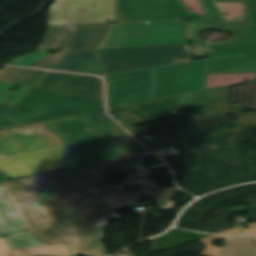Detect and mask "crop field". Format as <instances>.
<instances>
[{
	"mask_svg": "<svg viewBox=\"0 0 256 256\" xmlns=\"http://www.w3.org/2000/svg\"><path fill=\"white\" fill-rule=\"evenodd\" d=\"M125 129L128 130L136 139H141L142 138L140 136V134L137 133L130 125L125 126Z\"/></svg>",
	"mask_w": 256,
	"mask_h": 256,
	"instance_id": "32",
	"label": "crop field"
},
{
	"mask_svg": "<svg viewBox=\"0 0 256 256\" xmlns=\"http://www.w3.org/2000/svg\"><path fill=\"white\" fill-rule=\"evenodd\" d=\"M152 152L158 156L179 155V153H177L172 147L159 149V150H153Z\"/></svg>",
	"mask_w": 256,
	"mask_h": 256,
	"instance_id": "29",
	"label": "crop field"
},
{
	"mask_svg": "<svg viewBox=\"0 0 256 256\" xmlns=\"http://www.w3.org/2000/svg\"><path fill=\"white\" fill-rule=\"evenodd\" d=\"M103 75L192 61L188 44L100 50Z\"/></svg>",
	"mask_w": 256,
	"mask_h": 256,
	"instance_id": "6",
	"label": "crop field"
},
{
	"mask_svg": "<svg viewBox=\"0 0 256 256\" xmlns=\"http://www.w3.org/2000/svg\"><path fill=\"white\" fill-rule=\"evenodd\" d=\"M217 234H234V235H242L240 230H239V227L238 228H234V229H230V230H227V231H223V232H219Z\"/></svg>",
	"mask_w": 256,
	"mask_h": 256,
	"instance_id": "31",
	"label": "crop field"
},
{
	"mask_svg": "<svg viewBox=\"0 0 256 256\" xmlns=\"http://www.w3.org/2000/svg\"><path fill=\"white\" fill-rule=\"evenodd\" d=\"M48 55V52L45 51H39L38 53H35L33 55L25 56V57H20L16 61L10 63L12 65H19V66H26L30 67L32 66L35 62L39 61L41 58L45 57Z\"/></svg>",
	"mask_w": 256,
	"mask_h": 256,
	"instance_id": "28",
	"label": "crop field"
},
{
	"mask_svg": "<svg viewBox=\"0 0 256 256\" xmlns=\"http://www.w3.org/2000/svg\"><path fill=\"white\" fill-rule=\"evenodd\" d=\"M175 114L173 115L172 118H174ZM172 118H170L169 120H171ZM164 123H160V137H157L156 140L149 142L148 139H144V140H140L141 143H143L149 150H153V149H159L162 146H165L164 143L167 142V139H169V136L166 134V130L168 128V121Z\"/></svg>",
	"mask_w": 256,
	"mask_h": 256,
	"instance_id": "26",
	"label": "crop field"
},
{
	"mask_svg": "<svg viewBox=\"0 0 256 256\" xmlns=\"http://www.w3.org/2000/svg\"><path fill=\"white\" fill-rule=\"evenodd\" d=\"M148 152L122 158L90 163L85 166L49 172L29 177L25 180L38 189L55 198L57 201L75 211L90 223L102 228L109 225L105 220L119 217L113 213L124 206L139 202L140 196L150 195L157 187L155 182L145 179L151 169L136 168L140 175L130 173L122 180V184L113 186L103 180L104 172L116 169L120 172L140 165ZM140 190L127 194L122 192L128 186ZM110 226V225H109Z\"/></svg>",
	"mask_w": 256,
	"mask_h": 256,
	"instance_id": "1",
	"label": "crop field"
},
{
	"mask_svg": "<svg viewBox=\"0 0 256 256\" xmlns=\"http://www.w3.org/2000/svg\"><path fill=\"white\" fill-rule=\"evenodd\" d=\"M32 87L102 102V81L97 77L44 71Z\"/></svg>",
	"mask_w": 256,
	"mask_h": 256,
	"instance_id": "14",
	"label": "crop field"
},
{
	"mask_svg": "<svg viewBox=\"0 0 256 256\" xmlns=\"http://www.w3.org/2000/svg\"><path fill=\"white\" fill-rule=\"evenodd\" d=\"M153 69L106 78L108 109L151 100Z\"/></svg>",
	"mask_w": 256,
	"mask_h": 256,
	"instance_id": "11",
	"label": "crop field"
},
{
	"mask_svg": "<svg viewBox=\"0 0 256 256\" xmlns=\"http://www.w3.org/2000/svg\"><path fill=\"white\" fill-rule=\"evenodd\" d=\"M0 256H72L65 244L46 245L11 251L4 237L0 238Z\"/></svg>",
	"mask_w": 256,
	"mask_h": 256,
	"instance_id": "21",
	"label": "crop field"
},
{
	"mask_svg": "<svg viewBox=\"0 0 256 256\" xmlns=\"http://www.w3.org/2000/svg\"><path fill=\"white\" fill-rule=\"evenodd\" d=\"M83 162L65 145L0 158V171L9 179L79 165Z\"/></svg>",
	"mask_w": 256,
	"mask_h": 256,
	"instance_id": "7",
	"label": "crop field"
},
{
	"mask_svg": "<svg viewBox=\"0 0 256 256\" xmlns=\"http://www.w3.org/2000/svg\"><path fill=\"white\" fill-rule=\"evenodd\" d=\"M244 226H248L246 229H244ZM244 232V235H251L256 236V222L248 225L241 226Z\"/></svg>",
	"mask_w": 256,
	"mask_h": 256,
	"instance_id": "30",
	"label": "crop field"
},
{
	"mask_svg": "<svg viewBox=\"0 0 256 256\" xmlns=\"http://www.w3.org/2000/svg\"><path fill=\"white\" fill-rule=\"evenodd\" d=\"M191 41L190 23L184 20L112 24L99 48L174 44Z\"/></svg>",
	"mask_w": 256,
	"mask_h": 256,
	"instance_id": "5",
	"label": "crop field"
},
{
	"mask_svg": "<svg viewBox=\"0 0 256 256\" xmlns=\"http://www.w3.org/2000/svg\"><path fill=\"white\" fill-rule=\"evenodd\" d=\"M206 17L188 12L192 26V41L198 45L215 46L211 49L206 73L256 71V25L253 4L256 0H238L250 9L236 21H224L215 0H199ZM234 1V0H221ZM210 29L230 32L225 42H209L198 38Z\"/></svg>",
	"mask_w": 256,
	"mask_h": 256,
	"instance_id": "2",
	"label": "crop field"
},
{
	"mask_svg": "<svg viewBox=\"0 0 256 256\" xmlns=\"http://www.w3.org/2000/svg\"><path fill=\"white\" fill-rule=\"evenodd\" d=\"M254 249H255V256H256V239H254Z\"/></svg>",
	"mask_w": 256,
	"mask_h": 256,
	"instance_id": "34",
	"label": "crop field"
},
{
	"mask_svg": "<svg viewBox=\"0 0 256 256\" xmlns=\"http://www.w3.org/2000/svg\"><path fill=\"white\" fill-rule=\"evenodd\" d=\"M212 239H226V236L212 235L210 237L199 239L206 246L200 255L220 256L218 253L222 247L212 246Z\"/></svg>",
	"mask_w": 256,
	"mask_h": 256,
	"instance_id": "27",
	"label": "crop field"
},
{
	"mask_svg": "<svg viewBox=\"0 0 256 256\" xmlns=\"http://www.w3.org/2000/svg\"><path fill=\"white\" fill-rule=\"evenodd\" d=\"M7 178L6 177H4L1 173H0V181H2V180H6Z\"/></svg>",
	"mask_w": 256,
	"mask_h": 256,
	"instance_id": "33",
	"label": "crop field"
},
{
	"mask_svg": "<svg viewBox=\"0 0 256 256\" xmlns=\"http://www.w3.org/2000/svg\"><path fill=\"white\" fill-rule=\"evenodd\" d=\"M1 185L26 228L49 244L66 243L99 229L55 199L36 191L22 178Z\"/></svg>",
	"mask_w": 256,
	"mask_h": 256,
	"instance_id": "3",
	"label": "crop field"
},
{
	"mask_svg": "<svg viewBox=\"0 0 256 256\" xmlns=\"http://www.w3.org/2000/svg\"><path fill=\"white\" fill-rule=\"evenodd\" d=\"M42 72L41 70L4 67L0 71V102L5 103L13 97L8 104L16 105ZM17 83L24 86L12 93L10 97L6 96L10 93L8 91Z\"/></svg>",
	"mask_w": 256,
	"mask_h": 256,
	"instance_id": "18",
	"label": "crop field"
},
{
	"mask_svg": "<svg viewBox=\"0 0 256 256\" xmlns=\"http://www.w3.org/2000/svg\"><path fill=\"white\" fill-rule=\"evenodd\" d=\"M98 137L119 157L146 151L124 130L99 135Z\"/></svg>",
	"mask_w": 256,
	"mask_h": 256,
	"instance_id": "19",
	"label": "crop field"
},
{
	"mask_svg": "<svg viewBox=\"0 0 256 256\" xmlns=\"http://www.w3.org/2000/svg\"><path fill=\"white\" fill-rule=\"evenodd\" d=\"M229 87L211 90L191 95H185L178 97L177 106L179 107H190V106H206L214 109L225 107L231 111L239 121H231L224 117V112H219L218 119H222V122H229L235 124H244L245 127L255 126L256 127V115L254 112L239 113L238 111L231 110L228 103ZM241 114L243 117L239 118Z\"/></svg>",
	"mask_w": 256,
	"mask_h": 256,
	"instance_id": "16",
	"label": "crop field"
},
{
	"mask_svg": "<svg viewBox=\"0 0 256 256\" xmlns=\"http://www.w3.org/2000/svg\"><path fill=\"white\" fill-rule=\"evenodd\" d=\"M62 144L43 123L0 131V156Z\"/></svg>",
	"mask_w": 256,
	"mask_h": 256,
	"instance_id": "15",
	"label": "crop field"
},
{
	"mask_svg": "<svg viewBox=\"0 0 256 256\" xmlns=\"http://www.w3.org/2000/svg\"><path fill=\"white\" fill-rule=\"evenodd\" d=\"M115 22V0H56L49 25Z\"/></svg>",
	"mask_w": 256,
	"mask_h": 256,
	"instance_id": "9",
	"label": "crop field"
},
{
	"mask_svg": "<svg viewBox=\"0 0 256 256\" xmlns=\"http://www.w3.org/2000/svg\"><path fill=\"white\" fill-rule=\"evenodd\" d=\"M87 63L92 65L88 66ZM37 67L101 75L97 50L62 52L47 58Z\"/></svg>",
	"mask_w": 256,
	"mask_h": 256,
	"instance_id": "17",
	"label": "crop field"
},
{
	"mask_svg": "<svg viewBox=\"0 0 256 256\" xmlns=\"http://www.w3.org/2000/svg\"><path fill=\"white\" fill-rule=\"evenodd\" d=\"M223 256H254L253 239L229 236Z\"/></svg>",
	"mask_w": 256,
	"mask_h": 256,
	"instance_id": "23",
	"label": "crop field"
},
{
	"mask_svg": "<svg viewBox=\"0 0 256 256\" xmlns=\"http://www.w3.org/2000/svg\"><path fill=\"white\" fill-rule=\"evenodd\" d=\"M26 229L0 185V232L2 235Z\"/></svg>",
	"mask_w": 256,
	"mask_h": 256,
	"instance_id": "22",
	"label": "crop field"
},
{
	"mask_svg": "<svg viewBox=\"0 0 256 256\" xmlns=\"http://www.w3.org/2000/svg\"><path fill=\"white\" fill-rule=\"evenodd\" d=\"M103 233L104 231L99 229L95 232L68 242L66 245L73 256L82 254L87 256H107L106 251L100 243V239L103 238Z\"/></svg>",
	"mask_w": 256,
	"mask_h": 256,
	"instance_id": "20",
	"label": "crop field"
},
{
	"mask_svg": "<svg viewBox=\"0 0 256 256\" xmlns=\"http://www.w3.org/2000/svg\"><path fill=\"white\" fill-rule=\"evenodd\" d=\"M205 66L206 59L154 68L152 100L201 91Z\"/></svg>",
	"mask_w": 256,
	"mask_h": 256,
	"instance_id": "8",
	"label": "crop field"
},
{
	"mask_svg": "<svg viewBox=\"0 0 256 256\" xmlns=\"http://www.w3.org/2000/svg\"><path fill=\"white\" fill-rule=\"evenodd\" d=\"M181 0H118V22L188 19Z\"/></svg>",
	"mask_w": 256,
	"mask_h": 256,
	"instance_id": "12",
	"label": "crop field"
},
{
	"mask_svg": "<svg viewBox=\"0 0 256 256\" xmlns=\"http://www.w3.org/2000/svg\"><path fill=\"white\" fill-rule=\"evenodd\" d=\"M11 250L46 245L47 243L38 238L30 231H24L12 235L5 236Z\"/></svg>",
	"mask_w": 256,
	"mask_h": 256,
	"instance_id": "24",
	"label": "crop field"
},
{
	"mask_svg": "<svg viewBox=\"0 0 256 256\" xmlns=\"http://www.w3.org/2000/svg\"><path fill=\"white\" fill-rule=\"evenodd\" d=\"M178 191L179 190L177 189L161 188L154 194L151 204H153V202L156 201L158 202L157 205L161 209L170 210L174 203H172L169 199L174 197Z\"/></svg>",
	"mask_w": 256,
	"mask_h": 256,
	"instance_id": "25",
	"label": "crop field"
},
{
	"mask_svg": "<svg viewBox=\"0 0 256 256\" xmlns=\"http://www.w3.org/2000/svg\"><path fill=\"white\" fill-rule=\"evenodd\" d=\"M108 24L49 26L44 43L38 50L66 49L86 50L95 49L103 36Z\"/></svg>",
	"mask_w": 256,
	"mask_h": 256,
	"instance_id": "13",
	"label": "crop field"
},
{
	"mask_svg": "<svg viewBox=\"0 0 256 256\" xmlns=\"http://www.w3.org/2000/svg\"><path fill=\"white\" fill-rule=\"evenodd\" d=\"M45 124L87 163L118 157L76 117L46 122Z\"/></svg>",
	"mask_w": 256,
	"mask_h": 256,
	"instance_id": "10",
	"label": "crop field"
},
{
	"mask_svg": "<svg viewBox=\"0 0 256 256\" xmlns=\"http://www.w3.org/2000/svg\"><path fill=\"white\" fill-rule=\"evenodd\" d=\"M0 236H1V233H0Z\"/></svg>",
	"mask_w": 256,
	"mask_h": 256,
	"instance_id": "35",
	"label": "crop field"
},
{
	"mask_svg": "<svg viewBox=\"0 0 256 256\" xmlns=\"http://www.w3.org/2000/svg\"><path fill=\"white\" fill-rule=\"evenodd\" d=\"M100 110V102L31 88L15 107L0 104V128Z\"/></svg>",
	"mask_w": 256,
	"mask_h": 256,
	"instance_id": "4",
	"label": "crop field"
}]
</instances>
